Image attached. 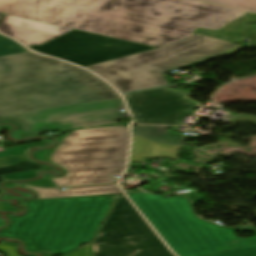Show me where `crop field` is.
I'll return each instance as SVG.
<instances>
[{
    "instance_id": "obj_2",
    "label": "crop field",
    "mask_w": 256,
    "mask_h": 256,
    "mask_svg": "<svg viewBox=\"0 0 256 256\" xmlns=\"http://www.w3.org/2000/svg\"><path fill=\"white\" fill-rule=\"evenodd\" d=\"M0 13L155 47L246 14L194 0H0Z\"/></svg>"
},
{
    "instance_id": "obj_11",
    "label": "crop field",
    "mask_w": 256,
    "mask_h": 256,
    "mask_svg": "<svg viewBox=\"0 0 256 256\" xmlns=\"http://www.w3.org/2000/svg\"><path fill=\"white\" fill-rule=\"evenodd\" d=\"M99 197L108 199V196H99ZM42 200H47V199H42ZM110 200H113V199H110ZM38 202L39 200L27 201L26 203L24 201H21V203L29 205V209L27 213L22 217H11V224L3 232H0V234L5 237H12L22 241L25 244L27 252H48V253H51L52 256L64 254L61 251L53 250L45 246L33 243L22 237Z\"/></svg>"
},
{
    "instance_id": "obj_18",
    "label": "crop field",
    "mask_w": 256,
    "mask_h": 256,
    "mask_svg": "<svg viewBox=\"0 0 256 256\" xmlns=\"http://www.w3.org/2000/svg\"><path fill=\"white\" fill-rule=\"evenodd\" d=\"M54 144L53 141L50 142H43V143H36V144H29V145H22V146H15V147H8L4 148L5 151L0 152V157L11 155L12 157L20 156L26 154L28 148L33 146H40L45 147Z\"/></svg>"
},
{
    "instance_id": "obj_25",
    "label": "crop field",
    "mask_w": 256,
    "mask_h": 256,
    "mask_svg": "<svg viewBox=\"0 0 256 256\" xmlns=\"http://www.w3.org/2000/svg\"><path fill=\"white\" fill-rule=\"evenodd\" d=\"M6 209H7L6 204L0 205V210H6Z\"/></svg>"
},
{
    "instance_id": "obj_15",
    "label": "crop field",
    "mask_w": 256,
    "mask_h": 256,
    "mask_svg": "<svg viewBox=\"0 0 256 256\" xmlns=\"http://www.w3.org/2000/svg\"><path fill=\"white\" fill-rule=\"evenodd\" d=\"M27 52L19 43L0 36V57L17 53Z\"/></svg>"
},
{
    "instance_id": "obj_16",
    "label": "crop field",
    "mask_w": 256,
    "mask_h": 256,
    "mask_svg": "<svg viewBox=\"0 0 256 256\" xmlns=\"http://www.w3.org/2000/svg\"><path fill=\"white\" fill-rule=\"evenodd\" d=\"M16 164L17 165L0 167V181L4 180L1 176V175H4V174L27 171V170H33V169H39V168L44 167V166H41V165H36V164H34L30 161L16 163ZM0 192H1V190H0ZM0 204H3V203H0Z\"/></svg>"
},
{
    "instance_id": "obj_8",
    "label": "crop field",
    "mask_w": 256,
    "mask_h": 256,
    "mask_svg": "<svg viewBox=\"0 0 256 256\" xmlns=\"http://www.w3.org/2000/svg\"><path fill=\"white\" fill-rule=\"evenodd\" d=\"M82 67L155 49V47L72 30L42 46L29 47Z\"/></svg>"
},
{
    "instance_id": "obj_9",
    "label": "crop field",
    "mask_w": 256,
    "mask_h": 256,
    "mask_svg": "<svg viewBox=\"0 0 256 256\" xmlns=\"http://www.w3.org/2000/svg\"><path fill=\"white\" fill-rule=\"evenodd\" d=\"M189 95L162 87L124 96L135 123L180 124L185 115L192 116L194 108L203 105Z\"/></svg>"
},
{
    "instance_id": "obj_4",
    "label": "crop field",
    "mask_w": 256,
    "mask_h": 256,
    "mask_svg": "<svg viewBox=\"0 0 256 256\" xmlns=\"http://www.w3.org/2000/svg\"><path fill=\"white\" fill-rule=\"evenodd\" d=\"M242 46L196 35L167 46L86 67L121 93L167 85L161 72L233 53ZM169 85V84H168Z\"/></svg>"
},
{
    "instance_id": "obj_14",
    "label": "crop field",
    "mask_w": 256,
    "mask_h": 256,
    "mask_svg": "<svg viewBox=\"0 0 256 256\" xmlns=\"http://www.w3.org/2000/svg\"><path fill=\"white\" fill-rule=\"evenodd\" d=\"M131 130L159 142L180 144L183 138L180 133L167 132V126L138 125Z\"/></svg>"
},
{
    "instance_id": "obj_19",
    "label": "crop field",
    "mask_w": 256,
    "mask_h": 256,
    "mask_svg": "<svg viewBox=\"0 0 256 256\" xmlns=\"http://www.w3.org/2000/svg\"><path fill=\"white\" fill-rule=\"evenodd\" d=\"M0 251L7 256H20L17 254V245L12 242L0 243Z\"/></svg>"
},
{
    "instance_id": "obj_3",
    "label": "crop field",
    "mask_w": 256,
    "mask_h": 256,
    "mask_svg": "<svg viewBox=\"0 0 256 256\" xmlns=\"http://www.w3.org/2000/svg\"><path fill=\"white\" fill-rule=\"evenodd\" d=\"M160 236L178 256H256V237L235 236L197 218L185 197L164 198L151 193H127Z\"/></svg>"
},
{
    "instance_id": "obj_10",
    "label": "crop field",
    "mask_w": 256,
    "mask_h": 256,
    "mask_svg": "<svg viewBox=\"0 0 256 256\" xmlns=\"http://www.w3.org/2000/svg\"><path fill=\"white\" fill-rule=\"evenodd\" d=\"M72 29L5 15L0 32L22 42L27 47L42 45Z\"/></svg>"
},
{
    "instance_id": "obj_6",
    "label": "crop field",
    "mask_w": 256,
    "mask_h": 256,
    "mask_svg": "<svg viewBox=\"0 0 256 256\" xmlns=\"http://www.w3.org/2000/svg\"><path fill=\"white\" fill-rule=\"evenodd\" d=\"M110 203L99 197L40 201L23 237L69 252L91 241Z\"/></svg>"
},
{
    "instance_id": "obj_5",
    "label": "crop field",
    "mask_w": 256,
    "mask_h": 256,
    "mask_svg": "<svg viewBox=\"0 0 256 256\" xmlns=\"http://www.w3.org/2000/svg\"><path fill=\"white\" fill-rule=\"evenodd\" d=\"M129 143L125 126L75 130L62 139L51 160L66 169L57 186H81L116 183L109 175L122 174Z\"/></svg>"
},
{
    "instance_id": "obj_21",
    "label": "crop field",
    "mask_w": 256,
    "mask_h": 256,
    "mask_svg": "<svg viewBox=\"0 0 256 256\" xmlns=\"http://www.w3.org/2000/svg\"><path fill=\"white\" fill-rule=\"evenodd\" d=\"M57 147L53 148V149H49V150H44V151H38L37 153H35L33 156L34 158L38 159V160H44V161H49L51 163H53L50 160V156L51 153L56 149Z\"/></svg>"
},
{
    "instance_id": "obj_12",
    "label": "crop field",
    "mask_w": 256,
    "mask_h": 256,
    "mask_svg": "<svg viewBox=\"0 0 256 256\" xmlns=\"http://www.w3.org/2000/svg\"><path fill=\"white\" fill-rule=\"evenodd\" d=\"M179 146H170L154 143L133 136V145L130 161L142 162L144 158L171 157L175 158ZM151 150V153L148 151Z\"/></svg>"
},
{
    "instance_id": "obj_1",
    "label": "crop field",
    "mask_w": 256,
    "mask_h": 256,
    "mask_svg": "<svg viewBox=\"0 0 256 256\" xmlns=\"http://www.w3.org/2000/svg\"><path fill=\"white\" fill-rule=\"evenodd\" d=\"M112 92L98 77L63 61L32 52L0 58V122L20 127L14 138L116 123L127 112Z\"/></svg>"
},
{
    "instance_id": "obj_23",
    "label": "crop field",
    "mask_w": 256,
    "mask_h": 256,
    "mask_svg": "<svg viewBox=\"0 0 256 256\" xmlns=\"http://www.w3.org/2000/svg\"><path fill=\"white\" fill-rule=\"evenodd\" d=\"M186 196L191 199L192 203L201 199V196L199 193H197V195L190 194V195H186Z\"/></svg>"
},
{
    "instance_id": "obj_7",
    "label": "crop field",
    "mask_w": 256,
    "mask_h": 256,
    "mask_svg": "<svg viewBox=\"0 0 256 256\" xmlns=\"http://www.w3.org/2000/svg\"><path fill=\"white\" fill-rule=\"evenodd\" d=\"M126 199L116 198L92 244L93 256H174Z\"/></svg>"
},
{
    "instance_id": "obj_24",
    "label": "crop field",
    "mask_w": 256,
    "mask_h": 256,
    "mask_svg": "<svg viewBox=\"0 0 256 256\" xmlns=\"http://www.w3.org/2000/svg\"><path fill=\"white\" fill-rule=\"evenodd\" d=\"M144 190H147L146 187L136 188V189H133V190H130V191H144Z\"/></svg>"
},
{
    "instance_id": "obj_22",
    "label": "crop field",
    "mask_w": 256,
    "mask_h": 256,
    "mask_svg": "<svg viewBox=\"0 0 256 256\" xmlns=\"http://www.w3.org/2000/svg\"><path fill=\"white\" fill-rule=\"evenodd\" d=\"M23 184L33 185V186H40V187H54V184L46 178H42V179L37 180V181H33V182H29V183H23Z\"/></svg>"
},
{
    "instance_id": "obj_17",
    "label": "crop field",
    "mask_w": 256,
    "mask_h": 256,
    "mask_svg": "<svg viewBox=\"0 0 256 256\" xmlns=\"http://www.w3.org/2000/svg\"><path fill=\"white\" fill-rule=\"evenodd\" d=\"M251 12H256V0H206Z\"/></svg>"
},
{
    "instance_id": "obj_13",
    "label": "crop field",
    "mask_w": 256,
    "mask_h": 256,
    "mask_svg": "<svg viewBox=\"0 0 256 256\" xmlns=\"http://www.w3.org/2000/svg\"><path fill=\"white\" fill-rule=\"evenodd\" d=\"M30 188V187H28ZM34 189L39 197L38 198H50V197H76V196H92V195H105L120 192L117 184L104 185V186H91V187H76L67 190H60L58 188L53 189Z\"/></svg>"
},
{
    "instance_id": "obj_20",
    "label": "crop field",
    "mask_w": 256,
    "mask_h": 256,
    "mask_svg": "<svg viewBox=\"0 0 256 256\" xmlns=\"http://www.w3.org/2000/svg\"><path fill=\"white\" fill-rule=\"evenodd\" d=\"M30 160L26 155L12 158L11 156L0 158V166L12 165L16 162Z\"/></svg>"
}]
</instances>
